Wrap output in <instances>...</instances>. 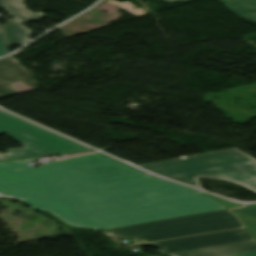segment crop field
I'll use <instances>...</instances> for the list:
<instances>
[{
	"label": "crop field",
	"instance_id": "obj_1",
	"mask_svg": "<svg viewBox=\"0 0 256 256\" xmlns=\"http://www.w3.org/2000/svg\"><path fill=\"white\" fill-rule=\"evenodd\" d=\"M31 161L0 162V197L49 211L74 227L103 230L226 208L98 153L37 168L26 165Z\"/></svg>",
	"mask_w": 256,
	"mask_h": 256
},
{
	"label": "crop field",
	"instance_id": "obj_2",
	"mask_svg": "<svg viewBox=\"0 0 256 256\" xmlns=\"http://www.w3.org/2000/svg\"><path fill=\"white\" fill-rule=\"evenodd\" d=\"M138 167L199 188L197 178L205 176L240 183L256 191V160L236 148Z\"/></svg>",
	"mask_w": 256,
	"mask_h": 256
},
{
	"label": "crop field",
	"instance_id": "obj_3",
	"mask_svg": "<svg viewBox=\"0 0 256 256\" xmlns=\"http://www.w3.org/2000/svg\"><path fill=\"white\" fill-rule=\"evenodd\" d=\"M229 209L104 230L107 236L138 237L142 242L242 227Z\"/></svg>",
	"mask_w": 256,
	"mask_h": 256
},
{
	"label": "crop field",
	"instance_id": "obj_4",
	"mask_svg": "<svg viewBox=\"0 0 256 256\" xmlns=\"http://www.w3.org/2000/svg\"><path fill=\"white\" fill-rule=\"evenodd\" d=\"M44 130L0 111V135L5 132L26 146L8 149L7 154L1 156L13 160L89 150Z\"/></svg>",
	"mask_w": 256,
	"mask_h": 256
},
{
	"label": "crop field",
	"instance_id": "obj_5",
	"mask_svg": "<svg viewBox=\"0 0 256 256\" xmlns=\"http://www.w3.org/2000/svg\"><path fill=\"white\" fill-rule=\"evenodd\" d=\"M250 240H252L251 237L248 235L245 228H243L182 239L148 243L143 244V246H153L158 249L159 254H169Z\"/></svg>",
	"mask_w": 256,
	"mask_h": 256
},
{
	"label": "crop field",
	"instance_id": "obj_6",
	"mask_svg": "<svg viewBox=\"0 0 256 256\" xmlns=\"http://www.w3.org/2000/svg\"><path fill=\"white\" fill-rule=\"evenodd\" d=\"M26 70L12 56L0 59V98L38 89Z\"/></svg>",
	"mask_w": 256,
	"mask_h": 256
},
{
	"label": "crop field",
	"instance_id": "obj_7",
	"mask_svg": "<svg viewBox=\"0 0 256 256\" xmlns=\"http://www.w3.org/2000/svg\"><path fill=\"white\" fill-rule=\"evenodd\" d=\"M256 250V241L206 248L196 251L170 254V256H224Z\"/></svg>",
	"mask_w": 256,
	"mask_h": 256
},
{
	"label": "crop field",
	"instance_id": "obj_8",
	"mask_svg": "<svg viewBox=\"0 0 256 256\" xmlns=\"http://www.w3.org/2000/svg\"><path fill=\"white\" fill-rule=\"evenodd\" d=\"M31 32L14 19L2 27L3 39L7 47L10 45H22L29 41Z\"/></svg>",
	"mask_w": 256,
	"mask_h": 256
},
{
	"label": "crop field",
	"instance_id": "obj_9",
	"mask_svg": "<svg viewBox=\"0 0 256 256\" xmlns=\"http://www.w3.org/2000/svg\"><path fill=\"white\" fill-rule=\"evenodd\" d=\"M0 6L4 7L11 14H13L15 17H17L23 22L32 21L44 17L42 13L33 14L29 12L25 8L22 0H0Z\"/></svg>",
	"mask_w": 256,
	"mask_h": 256
},
{
	"label": "crop field",
	"instance_id": "obj_10",
	"mask_svg": "<svg viewBox=\"0 0 256 256\" xmlns=\"http://www.w3.org/2000/svg\"><path fill=\"white\" fill-rule=\"evenodd\" d=\"M168 2H180L186 0H161ZM225 6H227L233 13L242 16L252 12H256V0H222Z\"/></svg>",
	"mask_w": 256,
	"mask_h": 256
},
{
	"label": "crop field",
	"instance_id": "obj_11",
	"mask_svg": "<svg viewBox=\"0 0 256 256\" xmlns=\"http://www.w3.org/2000/svg\"><path fill=\"white\" fill-rule=\"evenodd\" d=\"M242 223L245 225L247 232L252 237L253 240H256V223L247 219L243 215L236 213Z\"/></svg>",
	"mask_w": 256,
	"mask_h": 256
},
{
	"label": "crop field",
	"instance_id": "obj_12",
	"mask_svg": "<svg viewBox=\"0 0 256 256\" xmlns=\"http://www.w3.org/2000/svg\"><path fill=\"white\" fill-rule=\"evenodd\" d=\"M108 2L117 6V7H119V8L127 10L128 12H130L131 14H133L135 16H140L142 14H145V12L142 11L141 9H139V8H138V10L132 9V7H134V8H137V7H135L134 5H132L131 3L127 2V1L123 4H121L119 2H116V1H112V0H110Z\"/></svg>",
	"mask_w": 256,
	"mask_h": 256
},
{
	"label": "crop field",
	"instance_id": "obj_13",
	"mask_svg": "<svg viewBox=\"0 0 256 256\" xmlns=\"http://www.w3.org/2000/svg\"><path fill=\"white\" fill-rule=\"evenodd\" d=\"M248 217L254 219L256 221V205L246 206L240 209H235Z\"/></svg>",
	"mask_w": 256,
	"mask_h": 256
},
{
	"label": "crop field",
	"instance_id": "obj_14",
	"mask_svg": "<svg viewBox=\"0 0 256 256\" xmlns=\"http://www.w3.org/2000/svg\"><path fill=\"white\" fill-rule=\"evenodd\" d=\"M8 53V50L3 42L1 31H0V55Z\"/></svg>",
	"mask_w": 256,
	"mask_h": 256
},
{
	"label": "crop field",
	"instance_id": "obj_15",
	"mask_svg": "<svg viewBox=\"0 0 256 256\" xmlns=\"http://www.w3.org/2000/svg\"><path fill=\"white\" fill-rule=\"evenodd\" d=\"M230 256H256V251L248 252V253H242V254H236V255H230Z\"/></svg>",
	"mask_w": 256,
	"mask_h": 256
},
{
	"label": "crop field",
	"instance_id": "obj_16",
	"mask_svg": "<svg viewBox=\"0 0 256 256\" xmlns=\"http://www.w3.org/2000/svg\"><path fill=\"white\" fill-rule=\"evenodd\" d=\"M242 17H246V18L256 22V13H252V14H249V15H246V16H242Z\"/></svg>",
	"mask_w": 256,
	"mask_h": 256
},
{
	"label": "crop field",
	"instance_id": "obj_17",
	"mask_svg": "<svg viewBox=\"0 0 256 256\" xmlns=\"http://www.w3.org/2000/svg\"><path fill=\"white\" fill-rule=\"evenodd\" d=\"M89 153H91V152H89ZM81 154H86V153H79V154L64 155V156H62V158L70 157V156H75V155H81Z\"/></svg>",
	"mask_w": 256,
	"mask_h": 256
},
{
	"label": "crop field",
	"instance_id": "obj_18",
	"mask_svg": "<svg viewBox=\"0 0 256 256\" xmlns=\"http://www.w3.org/2000/svg\"><path fill=\"white\" fill-rule=\"evenodd\" d=\"M0 160H5L4 158L0 157Z\"/></svg>",
	"mask_w": 256,
	"mask_h": 256
}]
</instances>
